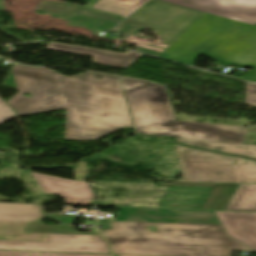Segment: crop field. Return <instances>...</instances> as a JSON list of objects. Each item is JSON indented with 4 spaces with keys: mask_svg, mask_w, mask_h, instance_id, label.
Segmentation results:
<instances>
[{
    "mask_svg": "<svg viewBox=\"0 0 256 256\" xmlns=\"http://www.w3.org/2000/svg\"><path fill=\"white\" fill-rule=\"evenodd\" d=\"M2 85L20 90L7 101L18 115L66 108V140H96L134 127L116 76L88 72L66 77L52 69L14 65ZM26 92L32 97L22 95Z\"/></svg>",
    "mask_w": 256,
    "mask_h": 256,
    "instance_id": "obj_1",
    "label": "crop field"
},
{
    "mask_svg": "<svg viewBox=\"0 0 256 256\" xmlns=\"http://www.w3.org/2000/svg\"><path fill=\"white\" fill-rule=\"evenodd\" d=\"M119 210V217L109 224L112 229L99 232L111 244L114 254L230 256L229 249L254 252L229 238L214 212ZM148 225H155L158 232H151Z\"/></svg>",
    "mask_w": 256,
    "mask_h": 256,
    "instance_id": "obj_2",
    "label": "crop field"
},
{
    "mask_svg": "<svg viewBox=\"0 0 256 256\" xmlns=\"http://www.w3.org/2000/svg\"><path fill=\"white\" fill-rule=\"evenodd\" d=\"M52 218L58 226L41 224ZM72 217L41 215L39 205L0 204V249L109 253L107 244L96 234H78ZM30 229L31 233H25Z\"/></svg>",
    "mask_w": 256,
    "mask_h": 256,
    "instance_id": "obj_3",
    "label": "crop field"
},
{
    "mask_svg": "<svg viewBox=\"0 0 256 256\" xmlns=\"http://www.w3.org/2000/svg\"><path fill=\"white\" fill-rule=\"evenodd\" d=\"M255 27L206 14L159 57L191 65L195 55H206L220 64L253 68L237 78L256 82Z\"/></svg>",
    "mask_w": 256,
    "mask_h": 256,
    "instance_id": "obj_4",
    "label": "crop field"
},
{
    "mask_svg": "<svg viewBox=\"0 0 256 256\" xmlns=\"http://www.w3.org/2000/svg\"><path fill=\"white\" fill-rule=\"evenodd\" d=\"M120 78L137 133L243 144L244 127L175 122L164 86Z\"/></svg>",
    "mask_w": 256,
    "mask_h": 256,
    "instance_id": "obj_5",
    "label": "crop field"
},
{
    "mask_svg": "<svg viewBox=\"0 0 256 256\" xmlns=\"http://www.w3.org/2000/svg\"><path fill=\"white\" fill-rule=\"evenodd\" d=\"M191 170L177 182L256 183V160L186 148Z\"/></svg>",
    "mask_w": 256,
    "mask_h": 256,
    "instance_id": "obj_6",
    "label": "crop field"
},
{
    "mask_svg": "<svg viewBox=\"0 0 256 256\" xmlns=\"http://www.w3.org/2000/svg\"><path fill=\"white\" fill-rule=\"evenodd\" d=\"M205 13L148 0L124 21L132 22L153 30L161 37L160 44L170 46Z\"/></svg>",
    "mask_w": 256,
    "mask_h": 256,
    "instance_id": "obj_7",
    "label": "crop field"
},
{
    "mask_svg": "<svg viewBox=\"0 0 256 256\" xmlns=\"http://www.w3.org/2000/svg\"><path fill=\"white\" fill-rule=\"evenodd\" d=\"M36 10L58 15L59 19L70 21L67 25H80L95 34L103 28L111 29L123 19L120 16L56 1L42 0Z\"/></svg>",
    "mask_w": 256,
    "mask_h": 256,
    "instance_id": "obj_8",
    "label": "crop field"
},
{
    "mask_svg": "<svg viewBox=\"0 0 256 256\" xmlns=\"http://www.w3.org/2000/svg\"><path fill=\"white\" fill-rule=\"evenodd\" d=\"M254 26L256 0H161Z\"/></svg>",
    "mask_w": 256,
    "mask_h": 256,
    "instance_id": "obj_9",
    "label": "crop field"
},
{
    "mask_svg": "<svg viewBox=\"0 0 256 256\" xmlns=\"http://www.w3.org/2000/svg\"><path fill=\"white\" fill-rule=\"evenodd\" d=\"M45 193H55L65 197L66 203L90 205L93 192L86 182L54 178L31 173Z\"/></svg>",
    "mask_w": 256,
    "mask_h": 256,
    "instance_id": "obj_10",
    "label": "crop field"
},
{
    "mask_svg": "<svg viewBox=\"0 0 256 256\" xmlns=\"http://www.w3.org/2000/svg\"><path fill=\"white\" fill-rule=\"evenodd\" d=\"M229 237L256 251V213L215 212Z\"/></svg>",
    "mask_w": 256,
    "mask_h": 256,
    "instance_id": "obj_11",
    "label": "crop field"
},
{
    "mask_svg": "<svg viewBox=\"0 0 256 256\" xmlns=\"http://www.w3.org/2000/svg\"><path fill=\"white\" fill-rule=\"evenodd\" d=\"M213 187H169L160 207L202 209Z\"/></svg>",
    "mask_w": 256,
    "mask_h": 256,
    "instance_id": "obj_12",
    "label": "crop field"
},
{
    "mask_svg": "<svg viewBox=\"0 0 256 256\" xmlns=\"http://www.w3.org/2000/svg\"><path fill=\"white\" fill-rule=\"evenodd\" d=\"M47 48L92 55L93 62L117 66V67H123V68H126L130 63H132L139 56H141V54L137 52H132V51H128L126 54H122V53L102 51V50L68 45V44L57 43V42L50 43Z\"/></svg>",
    "mask_w": 256,
    "mask_h": 256,
    "instance_id": "obj_13",
    "label": "crop field"
},
{
    "mask_svg": "<svg viewBox=\"0 0 256 256\" xmlns=\"http://www.w3.org/2000/svg\"><path fill=\"white\" fill-rule=\"evenodd\" d=\"M159 186H214L203 209L225 210L240 184L158 183Z\"/></svg>",
    "mask_w": 256,
    "mask_h": 256,
    "instance_id": "obj_14",
    "label": "crop field"
},
{
    "mask_svg": "<svg viewBox=\"0 0 256 256\" xmlns=\"http://www.w3.org/2000/svg\"><path fill=\"white\" fill-rule=\"evenodd\" d=\"M175 140L182 144L220 150V151H224L232 154L256 158V145H239V144L220 143V142L194 141V140H184V139H178V138H175Z\"/></svg>",
    "mask_w": 256,
    "mask_h": 256,
    "instance_id": "obj_15",
    "label": "crop field"
},
{
    "mask_svg": "<svg viewBox=\"0 0 256 256\" xmlns=\"http://www.w3.org/2000/svg\"><path fill=\"white\" fill-rule=\"evenodd\" d=\"M146 27L122 22L120 25H118L116 28H114L112 31L123 33L128 35L129 37L123 40V42H127L134 45L143 46L146 48L154 49L157 51L163 52L167 46H163L157 43L149 42L148 37L140 36L138 35L139 32Z\"/></svg>",
    "mask_w": 256,
    "mask_h": 256,
    "instance_id": "obj_16",
    "label": "crop field"
},
{
    "mask_svg": "<svg viewBox=\"0 0 256 256\" xmlns=\"http://www.w3.org/2000/svg\"><path fill=\"white\" fill-rule=\"evenodd\" d=\"M226 210L256 211V185H240Z\"/></svg>",
    "mask_w": 256,
    "mask_h": 256,
    "instance_id": "obj_17",
    "label": "crop field"
},
{
    "mask_svg": "<svg viewBox=\"0 0 256 256\" xmlns=\"http://www.w3.org/2000/svg\"><path fill=\"white\" fill-rule=\"evenodd\" d=\"M141 0H99L92 8L124 15Z\"/></svg>",
    "mask_w": 256,
    "mask_h": 256,
    "instance_id": "obj_18",
    "label": "crop field"
},
{
    "mask_svg": "<svg viewBox=\"0 0 256 256\" xmlns=\"http://www.w3.org/2000/svg\"><path fill=\"white\" fill-rule=\"evenodd\" d=\"M0 256H111V255L74 254V253H48V252H22V251H0Z\"/></svg>",
    "mask_w": 256,
    "mask_h": 256,
    "instance_id": "obj_19",
    "label": "crop field"
},
{
    "mask_svg": "<svg viewBox=\"0 0 256 256\" xmlns=\"http://www.w3.org/2000/svg\"><path fill=\"white\" fill-rule=\"evenodd\" d=\"M14 117V112L0 99V124Z\"/></svg>",
    "mask_w": 256,
    "mask_h": 256,
    "instance_id": "obj_20",
    "label": "crop field"
},
{
    "mask_svg": "<svg viewBox=\"0 0 256 256\" xmlns=\"http://www.w3.org/2000/svg\"><path fill=\"white\" fill-rule=\"evenodd\" d=\"M176 149H177V155H178V160H179L181 172L184 169H190L189 163H188V158H187V155L185 153V147L176 146Z\"/></svg>",
    "mask_w": 256,
    "mask_h": 256,
    "instance_id": "obj_21",
    "label": "crop field"
},
{
    "mask_svg": "<svg viewBox=\"0 0 256 256\" xmlns=\"http://www.w3.org/2000/svg\"><path fill=\"white\" fill-rule=\"evenodd\" d=\"M246 102L256 106V85L246 83Z\"/></svg>",
    "mask_w": 256,
    "mask_h": 256,
    "instance_id": "obj_22",
    "label": "crop field"
},
{
    "mask_svg": "<svg viewBox=\"0 0 256 256\" xmlns=\"http://www.w3.org/2000/svg\"><path fill=\"white\" fill-rule=\"evenodd\" d=\"M135 51H139V52H143V53H147V54H151V55H155V56H158L159 54H161V52H157V51L146 49V48L139 47V46L136 47Z\"/></svg>",
    "mask_w": 256,
    "mask_h": 256,
    "instance_id": "obj_23",
    "label": "crop field"
},
{
    "mask_svg": "<svg viewBox=\"0 0 256 256\" xmlns=\"http://www.w3.org/2000/svg\"><path fill=\"white\" fill-rule=\"evenodd\" d=\"M144 1L146 0H142L138 5H136L131 11H129L126 15L124 16H127L129 13H131L134 9H136L138 6H140Z\"/></svg>",
    "mask_w": 256,
    "mask_h": 256,
    "instance_id": "obj_24",
    "label": "crop field"
},
{
    "mask_svg": "<svg viewBox=\"0 0 256 256\" xmlns=\"http://www.w3.org/2000/svg\"><path fill=\"white\" fill-rule=\"evenodd\" d=\"M4 8V4H3V1L0 0V10H2Z\"/></svg>",
    "mask_w": 256,
    "mask_h": 256,
    "instance_id": "obj_25",
    "label": "crop field"
},
{
    "mask_svg": "<svg viewBox=\"0 0 256 256\" xmlns=\"http://www.w3.org/2000/svg\"><path fill=\"white\" fill-rule=\"evenodd\" d=\"M115 256H128V255H115Z\"/></svg>",
    "mask_w": 256,
    "mask_h": 256,
    "instance_id": "obj_26",
    "label": "crop field"
},
{
    "mask_svg": "<svg viewBox=\"0 0 256 256\" xmlns=\"http://www.w3.org/2000/svg\"><path fill=\"white\" fill-rule=\"evenodd\" d=\"M256 26V25H255Z\"/></svg>",
    "mask_w": 256,
    "mask_h": 256,
    "instance_id": "obj_27",
    "label": "crop field"
}]
</instances>
